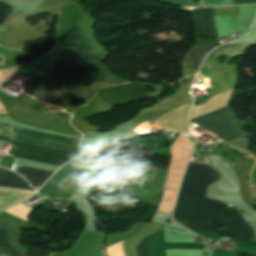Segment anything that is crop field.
Returning <instances> with one entry per match:
<instances>
[{
  "label": "crop field",
  "instance_id": "obj_11",
  "mask_svg": "<svg viewBox=\"0 0 256 256\" xmlns=\"http://www.w3.org/2000/svg\"><path fill=\"white\" fill-rule=\"evenodd\" d=\"M212 49H214V47L206 45L193 46L187 51L182 61V66L198 69L206 54Z\"/></svg>",
  "mask_w": 256,
  "mask_h": 256
},
{
  "label": "crop field",
  "instance_id": "obj_20",
  "mask_svg": "<svg viewBox=\"0 0 256 256\" xmlns=\"http://www.w3.org/2000/svg\"><path fill=\"white\" fill-rule=\"evenodd\" d=\"M256 3V0H233V5Z\"/></svg>",
  "mask_w": 256,
  "mask_h": 256
},
{
  "label": "crop field",
  "instance_id": "obj_18",
  "mask_svg": "<svg viewBox=\"0 0 256 256\" xmlns=\"http://www.w3.org/2000/svg\"><path fill=\"white\" fill-rule=\"evenodd\" d=\"M203 4L206 6H217L222 0H202ZM205 6V7H206Z\"/></svg>",
  "mask_w": 256,
  "mask_h": 256
},
{
  "label": "crop field",
  "instance_id": "obj_23",
  "mask_svg": "<svg viewBox=\"0 0 256 256\" xmlns=\"http://www.w3.org/2000/svg\"><path fill=\"white\" fill-rule=\"evenodd\" d=\"M256 164V163H255ZM255 167V166H254ZM254 170V169H253ZM253 172V171H252ZM251 177H252V173H251Z\"/></svg>",
  "mask_w": 256,
  "mask_h": 256
},
{
  "label": "crop field",
  "instance_id": "obj_2",
  "mask_svg": "<svg viewBox=\"0 0 256 256\" xmlns=\"http://www.w3.org/2000/svg\"><path fill=\"white\" fill-rule=\"evenodd\" d=\"M12 139L78 151V139H67L17 127H13ZM11 144L14 145V147L10 154L14 157L46 162L58 166H61L78 155L76 153L53 150L14 141H12Z\"/></svg>",
  "mask_w": 256,
  "mask_h": 256
},
{
  "label": "crop field",
  "instance_id": "obj_12",
  "mask_svg": "<svg viewBox=\"0 0 256 256\" xmlns=\"http://www.w3.org/2000/svg\"><path fill=\"white\" fill-rule=\"evenodd\" d=\"M250 45L251 44H226L215 49L208 55V57L218 60V58L221 56L230 58L243 56L250 48Z\"/></svg>",
  "mask_w": 256,
  "mask_h": 256
},
{
  "label": "crop field",
  "instance_id": "obj_3",
  "mask_svg": "<svg viewBox=\"0 0 256 256\" xmlns=\"http://www.w3.org/2000/svg\"><path fill=\"white\" fill-rule=\"evenodd\" d=\"M27 90L50 105L62 109L72 107L70 104L72 95L57 86L52 72V64L49 60L35 73Z\"/></svg>",
  "mask_w": 256,
  "mask_h": 256
},
{
  "label": "crop field",
  "instance_id": "obj_21",
  "mask_svg": "<svg viewBox=\"0 0 256 256\" xmlns=\"http://www.w3.org/2000/svg\"><path fill=\"white\" fill-rule=\"evenodd\" d=\"M196 38H212V39H216V36L196 34Z\"/></svg>",
  "mask_w": 256,
  "mask_h": 256
},
{
  "label": "crop field",
  "instance_id": "obj_10",
  "mask_svg": "<svg viewBox=\"0 0 256 256\" xmlns=\"http://www.w3.org/2000/svg\"><path fill=\"white\" fill-rule=\"evenodd\" d=\"M15 171L23 175L25 179L37 190L53 173L24 166H15Z\"/></svg>",
  "mask_w": 256,
  "mask_h": 256
},
{
  "label": "crop field",
  "instance_id": "obj_1",
  "mask_svg": "<svg viewBox=\"0 0 256 256\" xmlns=\"http://www.w3.org/2000/svg\"><path fill=\"white\" fill-rule=\"evenodd\" d=\"M218 177L219 174L212 168L190 163L184 176L174 219L191 230L206 231L215 200L204 196L207 187ZM220 224L225 226L224 235L244 240L253 236L252 229L236 209L215 201L207 231L219 234Z\"/></svg>",
  "mask_w": 256,
  "mask_h": 256
},
{
  "label": "crop field",
  "instance_id": "obj_15",
  "mask_svg": "<svg viewBox=\"0 0 256 256\" xmlns=\"http://www.w3.org/2000/svg\"><path fill=\"white\" fill-rule=\"evenodd\" d=\"M204 245L197 243H166V249H203Z\"/></svg>",
  "mask_w": 256,
  "mask_h": 256
},
{
  "label": "crop field",
  "instance_id": "obj_9",
  "mask_svg": "<svg viewBox=\"0 0 256 256\" xmlns=\"http://www.w3.org/2000/svg\"><path fill=\"white\" fill-rule=\"evenodd\" d=\"M191 13L196 24V33L216 34L212 19V8H197Z\"/></svg>",
  "mask_w": 256,
  "mask_h": 256
},
{
  "label": "crop field",
  "instance_id": "obj_4",
  "mask_svg": "<svg viewBox=\"0 0 256 256\" xmlns=\"http://www.w3.org/2000/svg\"><path fill=\"white\" fill-rule=\"evenodd\" d=\"M235 116L234 111L227 106L210 114L193 119L192 126L201 127L202 130L218 136L222 141L249 136L250 134L236 126Z\"/></svg>",
  "mask_w": 256,
  "mask_h": 256
},
{
  "label": "crop field",
  "instance_id": "obj_19",
  "mask_svg": "<svg viewBox=\"0 0 256 256\" xmlns=\"http://www.w3.org/2000/svg\"><path fill=\"white\" fill-rule=\"evenodd\" d=\"M72 201H63L61 205H57L59 210L66 211Z\"/></svg>",
  "mask_w": 256,
  "mask_h": 256
},
{
  "label": "crop field",
  "instance_id": "obj_6",
  "mask_svg": "<svg viewBox=\"0 0 256 256\" xmlns=\"http://www.w3.org/2000/svg\"><path fill=\"white\" fill-rule=\"evenodd\" d=\"M97 94L101 103L111 105H120L142 98H149L142 83H128L110 88H102Z\"/></svg>",
  "mask_w": 256,
  "mask_h": 256
},
{
  "label": "crop field",
  "instance_id": "obj_13",
  "mask_svg": "<svg viewBox=\"0 0 256 256\" xmlns=\"http://www.w3.org/2000/svg\"><path fill=\"white\" fill-rule=\"evenodd\" d=\"M0 186L33 190L22 177L3 168H0Z\"/></svg>",
  "mask_w": 256,
  "mask_h": 256
},
{
  "label": "crop field",
  "instance_id": "obj_5",
  "mask_svg": "<svg viewBox=\"0 0 256 256\" xmlns=\"http://www.w3.org/2000/svg\"><path fill=\"white\" fill-rule=\"evenodd\" d=\"M117 180L119 183V193L143 203L158 207L163 190L155 188L127 174L122 177H118Z\"/></svg>",
  "mask_w": 256,
  "mask_h": 256
},
{
  "label": "crop field",
  "instance_id": "obj_7",
  "mask_svg": "<svg viewBox=\"0 0 256 256\" xmlns=\"http://www.w3.org/2000/svg\"><path fill=\"white\" fill-rule=\"evenodd\" d=\"M92 81H104L115 85L127 82L110 74L107 68L100 63L90 69L73 75L62 84L73 91L80 93L81 89Z\"/></svg>",
  "mask_w": 256,
  "mask_h": 256
},
{
  "label": "crop field",
  "instance_id": "obj_8",
  "mask_svg": "<svg viewBox=\"0 0 256 256\" xmlns=\"http://www.w3.org/2000/svg\"><path fill=\"white\" fill-rule=\"evenodd\" d=\"M135 251L137 256L149 255V234L140 240ZM150 256H166L163 227L150 234Z\"/></svg>",
  "mask_w": 256,
  "mask_h": 256
},
{
  "label": "crop field",
  "instance_id": "obj_22",
  "mask_svg": "<svg viewBox=\"0 0 256 256\" xmlns=\"http://www.w3.org/2000/svg\"><path fill=\"white\" fill-rule=\"evenodd\" d=\"M168 171H169V169H168ZM167 176H168V172H167ZM167 176H166V179H167ZM166 179H165V182H164V186H165V183H166ZM164 186H163V188H164Z\"/></svg>",
  "mask_w": 256,
  "mask_h": 256
},
{
  "label": "crop field",
  "instance_id": "obj_16",
  "mask_svg": "<svg viewBox=\"0 0 256 256\" xmlns=\"http://www.w3.org/2000/svg\"><path fill=\"white\" fill-rule=\"evenodd\" d=\"M11 139V128L9 125L0 123V140L10 141Z\"/></svg>",
  "mask_w": 256,
  "mask_h": 256
},
{
  "label": "crop field",
  "instance_id": "obj_14",
  "mask_svg": "<svg viewBox=\"0 0 256 256\" xmlns=\"http://www.w3.org/2000/svg\"><path fill=\"white\" fill-rule=\"evenodd\" d=\"M0 250H14L7 239V229L0 228ZM0 256H21L17 251H0Z\"/></svg>",
  "mask_w": 256,
  "mask_h": 256
},
{
  "label": "crop field",
  "instance_id": "obj_17",
  "mask_svg": "<svg viewBox=\"0 0 256 256\" xmlns=\"http://www.w3.org/2000/svg\"><path fill=\"white\" fill-rule=\"evenodd\" d=\"M51 252L25 248L24 256H50Z\"/></svg>",
  "mask_w": 256,
  "mask_h": 256
}]
</instances>
